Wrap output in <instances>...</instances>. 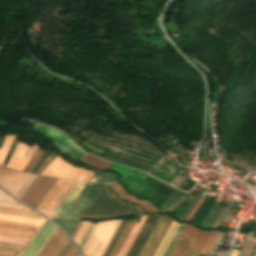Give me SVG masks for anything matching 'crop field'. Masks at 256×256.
Returning <instances> with one entry per match:
<instances>
[{
	"label": "crop field",
	"mask_w": 256,
	"mask_h": 256,
	"mask_svg": "<svg viewBox=\"0 0 256 256\" xmlns=\"http://www.w3.org/2000/svg\"><path fill=\"white\" fill-rule=\"evenodd\" d=\"M110 184L107 183L102 187L81 218L96 219L143 212L138 206H130L116 198V195L107 188Z\"/></svg>",
	"instance_id": "crop-field-1"
},
{
	"label": "crop field",
	"mask_w": 256,
	"mask_h": 256,
	"mask_svg": "<svg viewBox=\"0 0 256 256\" xmlns=\"http://www.w3.org/2000/svg\"><path fill=\"white\" fill-rule=\"evenodd\" d=\"M121 220L98 222L83 248L86 256H102Z\"/></svg>",
	"instance_id": "crop-field-2"
},
{
	"label": "crop field",
	"mask_w": 256,
	"mask_h": 256,
	"mask_svg": "<svg viewBox=\"0 0 256 256\" xmlns=\"http://www.w3.org/2000/svg\"><path fill=\"white\" fill-rule=\"evenodd\" d=\"M209 233L185 225L168 256H193L199 254Z\"/></svg>",
	"instance_id": "crop-field-3"
},
{
	"label": "crop field",
	"mask_w": 256,
	"mask_h": 256,
	"mask_svg": "<svg viewBox=\"0 0 256 256\" xmlns=\"http://www.w3.org/2000/svg\"><path fill=\"white\" fill-rule=\"evenodd\" d=\"M79 252L60 229L54 231L37 256H79Z\"/></svg>",
	"instance_id": "crop-field-4"
},
{
	"label": "crop field",
	"mask_w": 256,
	"mask_h": 256,
	"mask_svg": "<svg viewBox=\"0 0 256 256\" xmlns=\"http://www.w3.org/2000/svg\"><path fill=\"white\" fill-rule=\"evenodd\" d=\"M73 186L72 182L58 179L36 210L47 216H52Z\"/></svg>",
	"instance_id": "crop-field-5"
},
{
	"label": "crop field",
	"mask_w": 256,
	"mask_h": 256,
	"mask_svg": "<svg viewBox=\"0 0 256 256\" xmlns=\"http://www.w3.org/2000/svg\"><path fill=\"white\" fill-rule=\"evenodd\" d=\"M56 181L55 178L38 176L21 200L36 209Z\"/></svg>",
	"instance_id": "crop-field-6"
},
{
	"label": "crop field",
	"mask_w": 256,
	"mask_h": 256,
	"mask_svg": "<svg viewBox=\"0 0 256 256\" xmlns=\"http://www.w3.org/2000/svg\"><path fill=\"white\" fill-rule=\"evenodd\" d=\"M29 176V174L15 172L0 166V185L14 196Z\"/></svg>",
	"instance_id": "crop-field-7"
},
{
	"label": "crop field",
	"mask_w": 256,
	"mask_h": 256,
	"mask_svg": "<svg viewBox=\"0 0 256 256\" xmlns=\"http://www.w3.org/2000/svg\"><path fill=\"white\" fill-rule=\"evenodd\" d=\"M172 219L162 215L157 226L139 256H153L168 230Z\"/></svg>",
	"instance_id": "crop-field-8"
},
{
	"label": "crop field",
	"mask_w": 256,
	"mask_h": 256,
	"mask_svg": "<svg viewBox=\"0 0 256 256\" xmlns=\"http://www.w3.org/2000/svg\"><path fill=\"white\" fill-rule=\"evenodd\" d=\"M76 169V167L66 163L57 155L47 166L42 175L57 178H65L69 180Z\"/></svg>",
	"instance_id": "crop-field-9"
},
{
	"label": "crop field",
	"mask_w": 256,
	"mask_h": 256,
	"mask_svg": "<svg viewBox=\"0 0 256 256\" xmlns=\"http://www.w3.org/2000/svg\"><path fill=\"white\" fill-rule=\"evenodd\" d=\"M158 216H159V214L148 215L141 231L139 232V234H138V236H137L134 244L132 245L127 256H138L143 245L145 244L146 240L148 239V237L156 223Z\"/></svg>",
	"instance_id": "crop-field-10"
},
{
	"label": "crop field",
	"mask_w": 256,
	"mask_h": 256,
	"mask_svg": "<svg viewBox=\"0 0 256 256\" xmlns=\"http://www.w3.org/2000/svg\"><path fill=\"white\" fill-rule=\"evenodd\" d=\"M57 226L47 221L22 256H36Z\"/></svg>",
	"instance_id": "crop-field-11"
},
{
	"label": "crop field",
	"mask_w": 256,
	"mask_h": 256,
	"mask_svg": "<svg viewBox=\"0 0 256 256\" xmlns=\"http://www.w3.org/2000/svg\"><path fill=\"white\" fill-rule=\"evenodd\" d=\"M33 129H36L37 131L41 132L45 136L65 145L83 155L86 154L77 143H75L73 140L68 138L66 134H64L60 131L52 129L48 126L38 125V124H35Z\"/></svg>",
	"instance_id": "crop-field-12"
},
{
	"label": "crop field",
	"mask_w": 256,
	"mask_h": 256,
	"mask_svg": "<svg viewBox=\"0 0 256 256\" xmlns=\"http://www.w3.org/2000/svg\"><path fill=\"white\" fill-rule=\"evenodd\" d=\"M34 147H35L34 151L29 156L30 152L32 151V149ZM28 149H29V146L24 145V144L19 142L16 149H15V152L12 155V157H11L7 166L10 167V168H13L15 170L23 171L24 167L29 162V160L31 159L33 154L36 152L38 147L33 145V147L29 149V151H28ZM26 152H27V154L25 155Z\"/></svg>",
	"instance_id": "crop-field-13"
},
{
	"label": "crop field",
	"mask_w": 256,
	"mask_h": 256,
	"mask_svg": "<svg viewBox=\"0 0 256 256\" xmlns=\"http://www.w3.org/2000/svg\"><path fill=\"white\" fill-rule=\"evenodd\" d=\"M82 189H83V186H79L75 184V186L69 192L67 197L61 203V205L59 206V208L56 210V212L53 214L52 217L62 218V216L65 214L67 209L70 207V205L72 204V202L75 200V198L78 196V194Z\"/></svg>",
	"instance_id": "crop-field-14"
},
{
	"label": "crop field",
	"mask_w": 256,
	"mask_h": 256,
	"mask_svg": "<svg viewBox=\"0 0 256 256\" xmlns=\"http://www.w3.org/2000/svg\"><path fill=\"white\" fill-rule=\"evenodd\" d=\"M111 188L114 189L116 192H118L120 195L125 197L127 200L133 203L140 204L142 207H144L147 211H158L156 208H154L152 205L149 203L143 201V200H138L128 194L125 193V191L122 189V187L116 182L111 185Z\"/></svg>",
	"instance_id": "crop-field-15"
},
{
	"label": "crop field",
	"mask_w": 256,
	"mask_h": 256,
	"mask_svg": "<svg viewBox=\"0 0 256 256\" xmlns=\"http://www.w3.org/2000/svg\"><path fill=\"white\" fill-rule=\"evenodd\" d=\"M0 213L3 214H10V215H16V216H23V217H29V218H36V219H42L45 220L46 218L40 216L39 214L27 211V210H20V209H14V208H7V207H0Z\"/></svg>",
	"instance_id": "crop-field-16"
},
{
	"label": "crop field",
	"mask_w": 256,
	"mask_h": 256,
	"mask_svg": "<svg viewBox=\"0 0 256 256\" xmlns=\"http://www.w3.org/2000/svg\"><path fill=\"white\" fill-rule=\"evenodd\" d=\"M146 217L147 216H142L141 217L139 225H137V222H138V220H137L135 226L133 227L130 235L128 236L126 242L124 243V245H123L122 249L120 250L118 256H125V254L127 253L129 247L131 246L134 238L136 237L138 231L140 230L143 222L145 221Z\"/></svg>",
	"instance_id": "crop-field-17"
},
{
	"label": "crop field",
	"mask_w": 256,
	"mask_h": 256,
	"mask_svg": "<svg viewBox=\"0 0 256 256\" xmlns=\"http://www.w3.org/2000/svg\"><path fill=\"white\" fill-rule=\"evenodd\" d=\"M178 224L173 220L169 230L167 231L164 239L162 240L158 250L156 251L154 256H162L164 250L166 249L171 237L173 236Z\"/></svg>",
	"instance_id": "crop-field-18"
},
{
	"label": "crop field",
	"mask_w": 256,
	"mask_h": 256,
	"mask_svg": "<svg viewBox=\"0 0 256 256\" xmlns=\"http://www.w3.org/2000/svg\"><path fill=\"white\" fill-rule=\"evenodd\" d=\"M0 220H7V221L26 223V224H32V225H38V226H42V224L44 223V221L42 220L9 216V215H3V214H0Z\"/></svg>",
	"instance_id": "crop-field-19"
},
{
	"label": "crop field",
	"mask_w": 256,
	"mask_h": 256,
	"mask_svg": "<svg viewBox=\"0 0 256 256\" xmlns=\"http://www.w3.org/2000/svg\"><path fill=\"white\" fill-rule=\"evenodd\" d=\"M135 221H129L124 229V231L122 232L118 242L116 243L113 251L111 252L110 256H116L121 248V246L123 245L126 237L128 236L130 230L132 229L133 225H134Z\"/></svg>",
	"instance_id": "crop-field-20"
},
{
	"label": "crop field",
	"mask_w": 256,
	"mask_h": 256,
	"mask_svg": "<svg viewBox=\"0 0 256 256\" xmlns=\"http://www.w3.org/2000/svg\"><path fill=\"white\" fill-rule=\"evenodd\" d=\"M88 171L83 168H78L76 172L72 175L70 181L84 185V183L94 174Z\"/></svg>",
	"instance_id": "crop-field-21"
},
{
	"label": "crop field",
	"mask_w": 256,
	"mask_h": 256,
	"mask_svg": "<svg viewBox=\"0 0 256 256\" xmlns=\"http://www.w3.org/2000/svg\"><path fill=\"white\" fill-rule=\"evenodd\" d=\"M0 227L33 231V232H37L38 229L40 228L38 226L19 224V223L7 222V221H0Z\"/></svg>",
	"instance_id": "crop-field-22"
},
{
	"label": "crop field",
	"mask_w": 256,
	"mask_h": 256,
	"mask_svg": "<svg viewBox=\"0 0 256 256\" xmlns=\"http://www.w3.org/2000/svg\"><path fill=\"white\" fill-rule=\"evenodd\" d=\"M81 161H84L88 164H91L92 166L99 168V169H108L110 163L104 160H100L94 157H91L89 155H85V157H83L81 159Z\"/></svg>",
	"instance_id": "crop-field-23"
},
{
	"label": "crop field",
	"mask_w": 256,
	"mask_h": 256,
	"mask_svg": "<svg viewBox=\"0 0 256 256\" xmlns=\"http://www.w3.org/2000/svg\"><path fill=\"white\" fill-rule=\"evenodd\" d=\"M256 244V240L250 239V238H245L243 245L240 249V252L238 254V256H250L253 248Z\"/></svg>",
	"instance_id": "crop-field-24"
},
{
	"label": "crop field",
	"mask_w": 256,
	"mask_h": 256,
	"mask_svg": "<svg viewBox=\"0 0 256 256\" xmlns=\"http://www.w3.org/2000/svg\"><path fill=\"white\" fill-rule=\"evenodd\" d=\"M128 222H129V221H128ZM126 223H127V221L122 220V222H121L119 228L117 229V231H116V233H115L113 239L111 240V242H110V244H109L108 248L106 249V251H105V253H104L103 256H109V254H110V252L112 251V249H113L115 243L117 242V240H118V238H119L121 232L123 231V229H124Z\"/></svg>",
	"instance_id": "crop-field-25"
},
{
	"label": "crop field",
	"mask_w": 256,
	"mask_h": 256,
	"mask_svg": "<svg viewBox=\"0 0 256 256\" xmlns=\"http://www.w3.org/2000/svg\"><path fill=\"white\" fill-rule=\"evenodd\" d=\"M0 241L27 245L30 239L0 234Z\"/></svg>",
	"instance_id": "crop-field-26"
},
{
	"label": "crop field",
	"mask_w": 256,
	"mask_h": 256,
	"mask_svg": "<svg viewBox=\"0 0 256 256\" xmlns=\"http://www.w3.org/2000/svg\"><path fill=\"white\" fill-rule=\"evenodd\" d=\"M0 233L21 236V237H28V238H32L33 235L35 234L33 232H26V231H19V230L5 229V228H0Z\"/></svg>",
	"instance_id": "crop-field-27"
},
{
	"label": "crop field",
	"mask_w": 256,
	"mask_h": 256,
	"mask_svg": "<svg viewBox=\"0 0 256 256\" xmlns=\"http://www.w3.org/2000/svg\"><path fill=\"white\" fill-rule=\"evenodd\" d=\"M14 136H7L5 138L4 144L2 146V148L0 149V164H2L11 144H12V140H13Z\"/></svg>",
	"instance_id": "crop-field-28"
},
{
	"label": "crop field",
	"mask_w": 256,
	"mask_h": 256,
	"mask_svg": "<svg viewBox=\"0 0 256 256\" xmlns=\"http://www.w3.org/2000/svg\"><path fill=\"white\" fill-rule=\"evenodd\" d=\"M90 225V222H86L83 221L82 225L80 226L79 230L77 231V233L74 236V241L77 243V245L79 246L84 234L86 233L88 227Z\"/></svg>",
	"instance_id": "crop-field-29"
},
{
	"label": "crop field",
	"mask_w": 256,
	"mask_h": 256,
	"mask_svg": "<svg viewBox=\"0 0 256 256\" xmlns=\"http://www.w3.org/2000/svg\"><path fill=\"white\" fill-rule=\"evenodd\" d=\"M109 170L120 174L122 179H123L126 176V174L131 170V168H127V167L120 166V165L112 163Z\"/></svg>",
	"instance_id": "crop-field-30"
},
{
	"label": "crop field",
	"mask_w": 256,
	"mask_h": 256,
	"mask_svg": "<svg viewBox=\"0 0 256 256\" xmlns=\"http://www.w3.org/2000/svg\"><path fill=\"white\" fill-rule=\"evenodd\" d=\"M183 227H184V225L179 224V226H178L174 236L172 237V239H171L167 249L165 250L163 256H167L168 255L169 251L171 250L172 246L174 245V243H175L176 239L178 238L180 232L182 231Z\"/></svg>",
	"instance_id": "crop-field-31"
},
{
	"label": "crop field",
	"mask_w": 256,
	"mask_h": 256,
	"mask_svg": "<svg viewBox=\"0 0 256 256\" xmlns=\"http://www.w3.org/2000/svg\"><path fill=\"white\" fill-rule=\"evenodd\" d=\"M37 176L31 175L30 178L27 180V182L24 184V186L20 189V191L17 193L16 197L20 198L24 195V193L27 191V189L30 187V185L33 183V181L36 179Z\"/></svg>",
	"instance_id": "crop-field-32"
},
{
	"label": "crop field",
	"mask_w": 256,
	"mask_h": 256,
	"mask_svg": "<svg viewBox=\"0 0 256 256\" xmlns=\"http://www.w3.org/2000/svg\"><path fill=\"white\" fill-rule=\"evenodd\" d=\"M42 150L39 148L37 150V152L34 154V156L32 157V159L30 160V162L27 164V166L25 167L24 171L29 172L31 170V168L34 166V164L36 163V161L39 159V157L42 154Z\"/></svg>",
	"instance_id": "crop-field-33"
},
{
	"label": "crop field",
	"mask_w": 256,
	"mask_h": 256,
	"mask_svg": "<svg viewBox=\"0 0 256 256\" xmlns=\"http://www.w3.org/2000/svg\"><path fill=\"white\" fill-rule=\"evenodd\" d=\"M22 251L0 248V256H19Z\"/></svg>",
	"instance_id": "crop-field-34"
},
{
	"label": "crop field",
	"mask_w": 256,
	"mask_h": 256,
	"mask_svg": "<svg viewBox=\"0 0 256 256\" xmlns=\"http://www.w3.org/2000/svg\"><path fill=\"white\" fill-rule=\"evenodd\" d=\"M216 233H217V231H212L211 232V234H210L209 238L207 239L204 247L202 248L200 254L206 253V251H207L208 247L210 246V244H211L213 238L215 237Z\"/></svg>",
	"instance_id": "crop-field-35"
},
{
	"label": "crop field",
	"mask_w": 256,
	"mask_h": 256,
	"mask_svg": "<svg viewBox=\"0 0 256 256\" xmlns=\"http://www.w3.org/2000/svg\"><path fill=\"white\" fill-rule=\"evenodd\" d=\"M55 156V154H51L42 164L41 166L38 168V170L36 171V174L41 175V173L43 172V170L46 168V166L48 165V163L53 159V157Z\"/></svg>",
	"instance_id": "crop-field-36"
},
{
	"label": "crop field",
	"mask_w": 256,
	"mask_h": 256,
	"mask_svg": "<svg viewBox=\"0 0 256 256\" xmlns=\"http://www.w3.org/2000/svg\"><path fill=\"white\" fill-rule=\"evenodd\" d=\"M0 247L24 250L25 246L0 242Z\"/></svg>",
	"instance_id": "crop-field-37"
},
{
	"label": "crop field",
	"mask_w": 256,
	"mask_h": 256,
	"mask_svg": "<svg viewBox=\"0 0 256 256\" xmlns=\"http://www.w3.org/2000/svg\"><path fill=\"white\" fill-rule=\"evenodd\" d=\"M94 227H95V224L91 223V225H90V227H89V229H88L86 235L84 236V238H83V240H82V242H81V244H80V246H79L81 250H82L84 244L86 243L88 237L90 236L92 230L94 229Z\"/></svg>",
	"instance_id": "crop-field-38"
},
{
	"label": "crop field",
	"mask_w": 256,
	"mask_h": 256,
	"mask_svg": "<svg viewBox=\"0 0 256 256\" xmlns=\"http://www.w3.org/2000/svg\"><path fill=\"white\" fill-rule=\"evenodd\" d=\"M12 200H13L12 198H10L7 194H5L0 190V201L11 203Z\"/></svg>",
	"instance_id": "crop-field-39"
},
{
	"label": "crop field",
	"mask_w": 256,
	"mask_h": 256,
	"mask_svg": "<svg viewBox=\"0 0 256 256\" xmlns=\"http://www.w3.org/2000/svg\"><path fill=\"white\" fill-rule=\"evenodd\" d=\"M204 200V198H200L198 203L196 204V206L193 208V210L191 211V213L189 214V216L186 218V220H190V218L195 214L196 210L198 209L199 205L202 203V201Z\"/></svg>",
	"instance_id": "crop-field-40"
},
{
	"label": "crop field",
	"mask_w": 256,
	"mask_h": 256,
	"mask_svg": "<svg viewBox=\"0 0 256 256\" xmlns=\"http://www.w3.org/2000/svg\"><path fill=\"white\" fill-rule=\"evenodd\" d=\"M0 206H7V207H14V208H20V209H27V210H30L29 208H27V207H25V206H18V205L7 204V203H0Z\"/></svg>",
	"instance_id": "crop-field-41"
},
{
	"label": "crop field",
	"mask_w": 256,
	"mask_h": 256,
	"mask_svg": "<svg viewBox=\"0 0 256 256\" xmlns=\"http://www.w3.org/2000/svg\"><path fill=\"white\" fill-rule=\"evenodd\" d=\"M130 175L136 176V177L141 178V179H143V178L146 176V174L141 173V172L136 171V170H133V171L130 173Z\"/></svg>",
	"instance_id": "crop-field-42"
},
{
	"label": "crop field",
	"mask_w": 256,
	"mask_h": 256,
	"mask_svg": "<svg viewBox=\"0 0 256 256\" xmlns=\"http://www.w3.org/2000/svg\"><path fill=\"white\" fill-rule=\"evenodd\" d=\"M219 233H220V231H218V233H217L216 237L214 238V240H213V242H212L211 246L209 247V249H208L207 253H209V251H210V249H211V247H212L213 243L215 242V240H216V238H217V236H218V234H219Z\"/></svg>",
	"instance_id": "crop-field-43"
},
{
	"label": "crop field",
	"mask_w": 256,
	"mask_h": 256,
	"mask_svg": "<svg viewBox=\"0 0 256 256\" xmlns=\"http://www.w3.org/2000/svg\"><path fill=\"white\" fill-rule=\"evenodd\" d=\"M238 252H239V251H237V250H233L231 256H237Z\"/></svg>",
	"instance_id": "crop-field-44"
},
{
	"label": "crop field",
	"mask_w": 256,
	"mask_h": 256,
	"mask_svg": "<svg viewBox=\"0 0 256 256\" xmlns=\"http://www.w3.org/2000/svg\"><path fill=\"white\" fill-rule=\"evenodd\" d=\"M80 223H81V221H79V223H78V225H77L76 229L74 230V232H73V234H72V236H71L72 238H73V236H74V234H75L76 230L78 229V227H79Z\"/></svg>",
	"instance_id": "crop-field-45"
},
{
	"label": "crop field",
	"mask_w": 256,
	"mask_h": 256,
	"mask_svg": "<svg viewBox=\"0 0 256 256\" xmlns=\"http://www.w3.org/2000/svg\"><path fill=\"white\" fill-rule=\"evenodd\" d=\"M81 256V255H80Z\"/></svg>",
	"instance_id": "crop-field-46"
}]
</instances>
